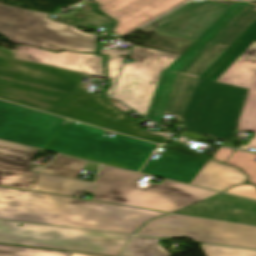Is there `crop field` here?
<instances>
[{"label": "crop field", "mask_w": 256, "mask_h": 256, "mask_svg": "<svg viewBox=\"0 0 256 256\" xmlns=\"http://www.w3.org/2000/svg\"><path fill=\"white\" fill-rule=\"evenodd\" d=\"M83 74L18 59L0 61V98L129 136L162 143L121 111L80 88Z\"/></svg>", "instance_id": "crop-field-2"}, {"label": "crop field", "mask_w": 256, "mask_h": 256, "mask_svg": "<svg viewBox=\"0 0 256 256\" xmlns=\"http://www.w3.org/2000/svg\"><path fill=\"white\" fill-rule=\"evenodd\" d=\"M71 253L0 245V256H70Z\"/></svg>", "instance_id": "crop-field-21"}, {"label": "crop field", "mask_w": 256, "mask_h": 256, "mask_svg": "<svg viewBox=\"0 0 256 256\" xmlns=\"http://www.w3.org/2000/svg\"><path fill=\"white\" fill-rule=\"evenodd\" d=\"M13 58V52L11 50L3 49L0 47V59Z\"/></svg>", "instance_id": "crop-field-26"}, {"label": "crop field", "mask_w": 256, "mask_h": 256, "mask_svg": "<svg viewBox=\"0 0 256 256\" xmlns=\"http://www.w3.org/2000/svg\"><path fill=\"white\" fill-rule=\"evenodd\" d=\"M0 100V138L137 171L157 145Z\"/></svg>", "instance_id": "crop-field-3"}, {"label": "crop field", "mask_w": 256, "mask_h": 256, "mask_svg": "<svg viewBox=\"0 0 256 256\" xmlns=\"http://www.w3.org/2000/svg\"><path fill=\"white\" fill-rule=\"evenodd\" d=\"M143 175L102 165L93 189L94 201L175 212L218 192L207 191L165 180L140 190L136 184Z\"/></svg>", "instance_id": "crop-field-5"}, {"label": "crop field", "mask_w": 256, "mask_h": 256, "mask_svg": "<svg viewBox=\"0 0 256 256\" xmlns=\"http://www.w3.org/2000/svg\"><path fill=\"white\" fill-rule=\"evenodd\" d=\"M225 192L256 199V187L247 184L231 188Z\"/></svg>", "instance_id": "crop-field-24"}, {"label": "crop field", "mask_w": 256, "mask_h": 256, "mask_svg": "<svg viewBox=\"0 0 256 256\" xmlns=\"http://www.w3.org/2000/svg\"><path fill=\"white\" fill-rule=\"evenodd\" d=\"M177 212L256 225L255 201L223 193H219Z\"/></svg>", "instance_id": "crop-field-13"}, {"label": "crop field", "mask_w": 256, "mask_h": 256, "mask_svg": "<svg viewBox=\"0 0 256 256\" xmlns=\"http://www.w3.org/2000/svg\"><path fill=\"white\" fill-rule=\"evenodd\" d=\"M37 151L0 141V186L29 190L35 174L29 171Z\"/></svg>", "instance_id": "crop-field-14"}, {"label": "crop field", "mask_w": 256, "mask_h": 256, "mask_svg": "<svg viewBox=\"0 0 256 256\" xmlns=\"http://www.w3.org/2000/svg\"><path fill=\"white\" fill-rule=\"evenodd\" d=\"M137 235L187 237L201 243L256 249V227L170 215L153 220Z\"/></svg>", "instance_id": "crop-field-8"}, {"label": "crop field", "mask_w": 256, "mask_h": 256, "mask_svg": "<svg viewBox=\"0 0 256 256\" xmlns=\"http://www.w3.org/2000/svg\"><path fill=\"white\" fill-rule=\"evenodd\" d=\"M109 80H110V82H111V86H110L109 90H108V91H106L105 93H106V94H108V95H111V93H112V91H113V88H114V85H115L116 80H112V79H109Z\"/></svg>", "instance_id": "crop-field-27"}, {"label": "crop field", "mask_w": 256, "mask_h": 256, "mask_svg": "<svg viewBox=\"0 0 256 256\" xmlns=\"http://www.w3.org/2000/svg\"><path fill=\"white\" fill-rule=\"evenodd\" d=\"M256 4L192 1L141 30L195 41L163 70L146 117L233 144L247 89L215 82L256 41Z\"/></svg>", "instance_id": "crop-field-1"}, {"label": "crop field", "mask_w": 256, "mask_h": 256, "mask_svg": "<svg viewBox=\"0 0 256 256\" xmlns=\"http://www.w3.org/2000/svg\"><path fill=\"white\" fill-rule=\"evenodd\" d=\"M256 154L235 150L226 160L225 164L239 167L250 178L249 181L256 185Z\"/></svg>", "instance_id": "crop-field-20"}, {"label": "crop field", "mask_w": 256, "mask_h": 256, "mask_svg": "<svg viewBox=\"0 0 256 256\" xmlns=\"http://www.w3.org/2000/svg\"><path fill=\"white\" fill-rule=\"evenodd\" d=\"M233 150L220 147L212 158L224 163ZM233 153V152H232Z\"/></svg>", "instance_id": "crop-field-25"}, {"label": "crop field", "mask_w": 256, "mask_h": 256, "mask_svg": "<svg viewBox=\"0 0 256 256\" xmlns=\"http://www.w3.org/2000/svg\"><path fill=\"white\" fill-rule=\"evenodd\" d=\"M206 256H256V251L203 245L200 244Z\"/></svg>", "instance_id": "crop-field-23"}, {"label": "crop field", "mask_w": 256, "mask_h": 256, "mask_svg": "<svg viewBox=\"0 0 256 256\" xmlns=\"http://www.w3.org/2000/svg\"><path fill=\"white\" fill-rule=\"evenodd\" d=\"M160 240L132 236L121 256H171L158 243Z\"/></svg>", "instance_id": "crop-field-18"}, {"label": "crop field", "mask_w": 256, "mask_h": 256, "mask_svg": "<svg viewBox=\"0 0 256 256\" xmlns=\"http://www.w3.org/2000/svg\"><path fill=\"white\" fill-rule=\"evenodd\" d=\"M217 81L248 89L236 131H253L255 135L240 149L256 147V42Z\"/></svg>", "instance_id": "crop-field-11"}, {"label": "crop field", "mask_w": 256, "mask_h": 256, "mask_svg": "<svg viewBox=\"0 0 256 256\" xmlns=\"http://www.w3.org/2000/svg\"><path fill=\"white\" fill-rule=\"evenodd\" d=\"M15 50L21 59L105 77L102 57L95 54L53 53L29 46H15Z\"/></svg>", "instance_id": "crop-field-15"}, {"label": "crop field", "mask_w": 256, "mask_h": 256, "mask_svg": "<svg viewBox=\"0 0 256 256\" xmlns=\"http://www.w3.org/2000/svg\"><path fill=\"white\" fill-rule=\"evenodd\" d=\"M49 14L0 4V34L13 44H27L52 51L96 52L94 34L47 19Z\"/></svg>", "instance_id": "crop-field-6"}, {"label": "crop field", "mask_w": 256, "mask_h": 256, "mask_svg": "<svg viewBox=\"0 0 256 256\" xmlns=\"http://www.w3.org/2000/svg\"><path fill=\"white\" fill-rule=\"evenodd\" d=\"M71 256H92V255H84V254L72 253Z\"/></svg>", "instance_id": "crop-field-28"}, {"label": "crop field", "mask_w": 256, "mask_h": 256, "mask_svg": "<svg viewBox=\"0 0 256 256\" xmlns=\"http://www.w3.org/2000/svg\"><path fill=\"white\" fill-rule=\"evenodd\" d=\"M167 213L0 187V219L132 234Z\"/></svg>", "instance_id": "crop-field-4"}, {"label": "crop field", "mask_w": 256, "mask_h": 256, "mask_svg": "<svg viewBox=\"0 0 256 256\" xmlns=\"http://www.w3.org/2000/svg\"><path fill=\"white\" fill-rule=\"evenodd\" d=\"M0 220V242L117 256L130 236Z\"/></svg>", "instance_id": "crop-field-7"}, {"label": "crop field", "mask_w": 256, "mask_h": 256, "mask_svg": "<svg viewBox=\"0 0 256 256\" xmlns=\"http://www.w3.org/2000/svg\"><path fill=\"white\" fill-rule=\"evenodd\" d=\"M179 55L135 46L133 63H124L113 98L146 115L162 69L168 68ZM155 84L151 85V82Z\"/></svg>", "instance_id": "crop-field-9"}, {"label": "crop field", "mask_w": 256, "mask_h": 256, "mask_svg": "<svg viewBox=\"0 0 256 256\" xmlns=\"http://www.w3.org/2000/svg\"><path fill=\"white\" fill-rule=\"evenodd\" d=\"M85 161L58 155L40 173L77 179Z\"/></svg>", "instance_id": "crop-field-19"}, {"label": "crop field", "mask_w": 256, "mask_h": 256, "mask_svg": "<svg viewBox=\"0 0 256 256\" xmlns=\"http://www.w3.org/2000/svg\"><path fill=\"white\" fill-rule=\"evenodd\" d=\"M130 50H117V49H100V54H108V64H107V76L110 78L117 79L121 64L124 57H119L118 55H127Z\"/></svg>", "instance_id": "crop-field-22"}, {"label": "crop field", "mask_w": 256, "mask_h": 256, "mask_svg": "<svg viewBox=\"0 0 256 256\" xmlns=\"http://www.w3.org/2000/svg\"><path fill=\"white\" fill-rule=\"evenodd\" d=\"M247 178L238 169L221 165L210 159L192 183H190L223 191L229 187L246 182Z\"/></svg>", "instance_id": "crop-field-16"}, {"label": "crop field", "mask_w": 256, "mask_h": 256, "mask_svg": "<svg viewBox=\"0 0 256 256\" xmlns=\"http://www.w3.org/2000/svg\"><path fill=\"white\" fill-rule=\"evenodd\" d=\"M92 186V182L36 173L30 190L72 197L76 192L87 191Z\"/></svg>", "instance_id": "crop-field-17"}, {"label": "crop field", "mask_w": 256, "mask_h": 256, "mask_svg": "<svg viewBox=\"0 0 256 256\" xmlns=\"http://www.w3.org/2000/svg\"><path fill=\"white\" fill-rule=\"evenodd\" d=\"M156 161L149 159L141 173L190 184L209 158L188 150L184 145L161 146Z\"/></svg>", "instance_id": "crop-field-12"}, {"label": "crop field", "mask_w": 256, "mask_h": 256, "mask_svg": "<svg viewBox=\"0 0 256 256\" xmlns=\"http://www.w3.org/2000/svg\"><path fill=\"white\" fill-rule=\"evenodd\" d=\"M117 22L113 32L123 36L187 0H93Z\"/></svg>", "instance_id": "crop-field-10"}]
</instances>
